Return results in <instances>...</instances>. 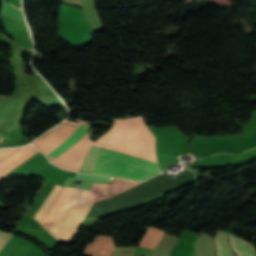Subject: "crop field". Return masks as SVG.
<instances>
[{"label":"crop field","instance_id":"obj_1","mask_svg":"<svg viewBox=\"0 0 256 256\" xmlns=\"http://www.w3.org/2000/svg\"><path fill=\"white\" fill-rule=\"evenodd\" d=\"M140 183L142 182L115 178L112 184H92V191L89 190V192L85 189L64 187L41 224L58 240L69 243L94 203L93 201L116 196ZM87 192L88 194L86 195ZM82 200L83 202L81 203ZM80 203L89 204L79 206Z\"/></svg>","mask_w":256,"mask_h":256},{"label":"crop field","instance_id":"obj_2","mask_svg":"<svg viewBox=\"0 0 256 256\" xmlns=\"http://www.w3.org/2000/svg\"><path fill=\"white\" fill-rule=\"evenodd\" d=\"M101 147L156 162L155 138L142 117L115 119L113 127L91 146L81 172L93 174Z\"/></svg>","mask_w":256,"mask_h":256},{"label":"crop field","instance_id":"obj_3","mask_svg":"<svg viewBox=\"0 0 256 256\" xmlns=\"http://www.w3.org/2000/svg\"><path fill=\"white\" fill-rule=\"evenodd\" d=\"M159 172L157 163L103 148L95 169L97 174L135 180H146Z\"/></svg>","mask_w":256,"mask_h":256},{"label":"crop field","instance_id":"obj_4","mask_svg":"<svg viewBox=\"0 0 256 256\" xmlns=\"http://www.w3.org/2000/svg\"><path fill=\"white\" fill-rule=\"evenodd\" d=\"M88 125H74L64 122L43 138L32 143L46 153L49 161L71 147L88 129ZM43 153V154H44Z\"/></svg>","mask_w":256,"mask_h":256},{"label":"crop field","instance_id":"obj_5","mask_svg":"<svg viewBox=\"0 0 256 256\" xmlns=\"http://www.w3.org/2000/svg\"><path fill=\"white\" fill-rule=\"evenodd\" d=\"M93 143L94 142L89 140V136L86 133L71 148L60 154L51 162L63 169L78 171L86 152Z\"/></svg>","mask_w":256,"mask_h":256},{"label":"crop field","instance_id":"obj_6","mask_svg":"<svg viewBox=\"0 0 256 256\" xmlns=\"http://www.w3.org/2000/svg\"><path fill=\"white\" fill-rule=\"evenodd\" d=\"M113 239L99 236L93 244H90L86 250V256H113Z\"/></svg>","mask_w":256,"mask_h":256},{"label":"crop field","instance_id":"obj_7","mask_svg":"<svg viewBox=\"0 0 256 256\" xmlns=\"http://www.w3.org/2000/svg\"><path fill=\"white\" fill-rule=\"evenodd\" d=\"M198 236L186 230L174 250L171 256H194V240Z\"/></svg>","mask_w":256,"mask_h":256},{"label":"crop field","instance_id":"obj_8","mask_svg":"<svg viewBox=\"0 0 256 256\" xmlns=\"http://www.w3.org/2000/svg\"><path fill=\"white\" fill-rule=\"evenodd\" d=\"M213 239L202 232L195 242L196 256H216Z\"/></svg>","mask_w":256,"mask_h":256},{"label":"crop field","instance_id":"obj_9","mask_svg":"<svg viewBox=\"0 0 256 256\" xmlns=\"http://www.w3.org/2000/svg\"><path fill=\"white\" fill-rule=\"evenodd\" d=\"M231 247L237 256H256L254 246L230 235Z\"/></svg>","mask_w":256,"mask_h":256},{"label":"crop field","instance_id":"obj_10","mask_svg":"<svg viewBox=\"0 0 256 256\" xmlns=\"http://www.w3.org/2000/svg\"><path fill=\"white\" fill-rule=\"evenodd\" d=\"M227 236V232L219 230L217 231L215 241L217 245L218 256H235L228 245Z\"/></svg>","mask_w":256,"mask_h":256},{"label":"crop field","instance_id":"obj_11","mask_svg":"<svg viewBox=\"0 0 256 256\" xmlns=\"http://www.w3.org/2000/svg\"><path fill=\"white\" fill-rule=\"evenodd\" d=\"M177 238L165 234L161 242L150 256H168L169 250L172 248ZM171 251V250H170Z\"/></svg>","mask_w":256,"mask_h":256},{"label":"crop field","instance_id":"obj_12","mask_svg":"<svg viewBox=\"0 0 256 256\" xmlns=\"http://www.w3.org/2000/svg\"><path fill=\"white\" fill-rule=\"evenodd\" d=\"M62 189L61 186L56 185L53 190L51 191V193L48 195V197L46 198V200L43 202V204L41 205V207L38 209V211L36 212L35 216H34V220L37 221L38 223L41 221L43 215L45 214V212L47 211V209L49 208V206L51 205V203L54 201V199L56 198V196L58 195V193L60 192V190Z\"/></svg>","mask_w":256,"mask_h":256},{"label":"crop field","instance_id":"obj_13","mask_svg":"<svg viewBox=\"0 0 256 256\" xmlns=\"http://www.w3.org/2000/svg\"><path fill=\"white\" fill-rule=\"evenodd\" d=\"M39 171H41L47 175L53 176L55 178L61 179L63 181H65L66 178L76 176V173L60 170V169L54 167L53 165H51L50 163L48 165H46L44 168L40 169Z\"/></svg>","mask_w":256,"mask_h":256},{"label":"crop field","instance_id":"obj_14","mask_svg":"<svg viewBox=\"0 0 256 256\" xmlns=\"http://www.w3.org/2000/svg\"><path fill=\"white\" fill-rule=\"evenodd\" d=\"M31 150H33L32 147L30 146H26L24 148H21L20 150L16 151L15 153L11 154L10 156H8L7 158H5L3 161L0 162V173L9 165H11L12 163H14L15 161H17L18 159H20L22 156H24L25 154H27L28 152H30Z\"/></svg>","mask_w":256,"mask_h":256},{"label":"crop field","instance_id":"obj_15","mask_svg":"<svg viewBox=\"0 0 256 256\" xmlns=\"http://www.w3.org/2000/svg\"><path fill=\"white\" fill-rule=\"evenodd\" d=\"M10 237H11V234L0 231V250L7 243Z\"/></svg>","mask_w":256,"mask_h":256},{"label":"crop field","instance_id":"obj_16","mask_svg":"<svg viewBox=\"0 0 256 256\" xmlns=\"http://www.w3.org/2000/svg\"><path fill=\"white\" fill-rule=\"evenodd\" d=\"M17 149H6V150H0V160L3 159L4 157L10 155L11 153L15 152Z\"/></svg>","mask_w":256,"mask_h":256}]
</instances>
